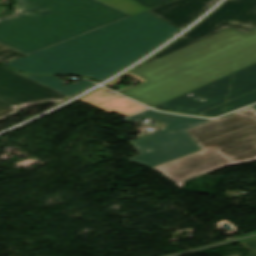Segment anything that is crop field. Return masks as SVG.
<instances>
[{
  "label": "crop field",
  "instance_id": "crop-field-1",
  "mask_svg": "<svg viewBox=\"0 0 256 256\" xmlns=\"http://www.w3.org/2000/svg\"><path fill=\"white\" fill-rule=\"evenodd\" d=\"M177 31L145 11L5 65L31 74L91 76L101 81Z\"/></svg>",
  "mask_w": 256,
  "mask_h": 256
},
{
  "label": "crop field",
  "instance_id": "crop-field-7",
  "mask_svg": "<svg viewBox=\"0 0 256 256\" xmlns=\"http://www.w3.org/2000/svg\"><path fill=\"white\" fill-rule=\"evenodd\" d=\"M68 96L0 66V119L32 105L59 103Z\"/></svg>",
  "mask_w": 256,
  "mask_h": 256
},
{
  "label": "crop field",
  "instance_id": "crop-field-15",
  "mask_svg": "<svg viewBox=\"0 0 256 256\" xmlns=\"http://www.w3.org/2000/svg\"><path fill=\"white\" fill-rule=\"evenodd\" d=\"M22 56L24 55L0 45V63H7Z\"/></svg>",
  "mask_w": 256,
  "mask_h": 256
},
{
  "label": "crop field",
  "instance_id": "crop-field-2",
  "mask_svg": "<svg viewBox=\"0 0 256 256\" xmlns=\"http://www.w3.org/2000/svg\"><path fill=\"white\" fill-rule=\"evenodd\" d=\"M253 63L256 29L245 35L228 28L126 74L142 83L121 92L155 107Z\"/></svg>",
  "mask_w": 256,
  "mask_h": 256
},
{
  "label": "crop field",
  "instance_id": "crop-field-21",
  "mask_svg": "<svg viewBox=\"0 0 256 256\" xmlns=\"http://www.w3.org/2000/svg\"><path fill=\"white\" fill-rule=\"evenodd\" d=\"M256 109V106H253Z\"/></svg>",
  "mask_w": 256,
  "mask_h": 256
},
{
  "label": "crop field",
  "instance_id": "crop-field-13",
  "mask_svg": "<svg viewBox=\"0 0 256 256\" xmlns=\"http://www.w3.org/2000/svg\"><path fill=\"white\" fill-rule=\"evenodd\" d=\"M255 102H256V91L248 95L242 96L240 98H237L235 100H232L230 102L219 105L210 110H207L201 114L207 115V116H218L227 112L234 111L236 109H239L241 107L247 106Z\"/></svg>",
  "mask_w": 256,
  "mask_h": 256
},
{
  "label": "crop field",
  "instance_id": "crop-field-3",
  "mask_svg": "<svg viewBox=\"0 0 256 256\" xmlns=\"http://www.w3.org/2000/svg\"><path fill=\"white\" fill-rule=\"evenodd\" d=\"M0 23V44L31 54L131 15L97 0H20Z\"/></svg>",
  "mask_w": 256,
  "mask_h": 256
},
{
  "label": "crop field",
  "instance_id": "crop-field-8",
  "mask_svg": "<svg viewBox=\"0 0 256 256\" xmlns=\"http://www.w3.org/2000/svg\"><path fill=\"white\" fill-rule=\"evenodd\" d=\"M146 136L147 138L144 136L131 142L140 153L139 156L130 159L131 161L152 167L199 151L184 131L178 134L159 131ZM145 148L153 151L147 153L143 150Z\"/></svg>",
  "mask_w": 256,
  "mask_h": 256
},
{
  "label": "crop field",
  "instance_id": "crop-field-6",
  "mask_svg": "<svg viewBox=\"0 0 256 256\" xmlns=\"http://www.w3.org/2000/svg\"><path fill=\"white\" fill-rule=\"evenodd\" d=\"M245 34L256 28V0H228L195 28L142 65L170 54L226 28Z\"/></svg>",
  "mask_w": 256,
  "mask_h": 256
},
{
  "label": "crop field",
  "instance_id": "crop-field-19",
  "mask_svg": "<svg viewBox=\"0 0 256 256\" xmlns=\"http://www.w3.org/2000/svg\"><path fill=\"white\" fill-rule=\"evenodd\" d=\"M196 126V125H195ZM193 127V126H192ZM189 128H191V127H189ZM186 129H188V128H186ZM164 130V129H163ZM184 130V129H183ZM182 131V130H181ZM180 132V131H179ZM177 133V132H176Z\"/></svg>",
  "mask_w": 256,
  "mask_h": 256
},
{
  "label": "crop field",
  "instance_id": "crop-field-14",
  "mask_svg": "<svg viewBox=\"0 0 256 256\" xmlns=\"http://www.w3.org/2000/svg\"><path fill=\"white\" fill-rule=\"evenodd\" d=\"M99 1L104 2L117 9H120L124 12H127L131 15H134L146 10L145 8L141 7L140 5L136 4L131 0H99Z\"/></svg>",
  "mask_w": 256,
  "mask_h": 256
},
{
  "label": "crop field",
  "instance_id": "crop-field-22",
  "mask_svg": "<svg viewBox=\"0 0 256 256\" xmlns=\"http://www.w3.org/2000/svg\"><path fill=\"white\" fill-rule=\"evenodd\" d=\"M235 256H238V255H235Z\"/></svg>",
  "mask_w": 256,
  "mask_h": 256
},
{
  "label": "crop field",
  "instance_id": "crop-field-11",
  "mask_svg": "<svg viewBox=\"0 0 256 256\" xmlns=\"http://www.w3.org/2000/svg\"><path fill=\"white\" fill-rule=\"evenodd\" d=\"M150 118L165 123L167 126L164 129L170 132H176L183 128L204 122L209 119L191 118L178 115L163 114L157 111H145L134 117L127 119L128 121L138 122L143 119Z\"/></svg>",
  "mask_w": 256,
  "mask_h": 256
},
{
  "label": "crop field",
  "instance_id": "crop-field-9",
  "mask_svg": "<svg viewBox=\"0 0 256 256\" xmlns=\"http://www.w3.org/2000/svg\"><path fill=\"white\" fill-rule=\"evenodd\" d=\"M215 1L217 0H174L147 11L181 29L211 7Z\"/></svg>",
  "mask_w": 256,
  "mask_h": 256
},
{
  "label": "crop field",
  "instance_id": "crop-field-5",
  "mask_svg": "<svg viewBox=\"0 0 256 256\" xmlns=\"http://www.w3.org/2000/svg\"><path fill=\"white\" fill-rule=\"evenodd\" d=\"M255 90L256 64H253L156 108L198 114Z\"/></svg>",
  "mask_w": 256,
  "mask_h": 256
},
{
  "label": "crop field",
  "instance_id": "crop-field-12",
  "mask_svg": "<svg viewBox=\"0 0 256 256\" xmlns=\"http://www.w3.org/2000/svg\"><path fill=\"white\" fill-rule=\"evenodd\" d=\"M32 80L38 81L42 84H45L59 92H62L68 96H72L80 91H82L84 88L94 85L93 83L82 79L78 81L76 84H69L67 86L62 85V81L55 78V77H39V76H30V75H24Z\"/></svg>",
  "mask_w": 256,
  "mask_h": 256
},
{
  "label": "crop field",
  "instance_id": "crop-field-20",
  "mask_svg": "<svg viewBox=\"0 0 256 256\" xmlns=\"http://www.w3.org/2000/svg\"><path fill=\"white\" fill-rule=\"evenodd\" d=\"M206 150V149H205ZM224 157V156H223ZM225 158V157H224ZM225 159H227V158H225ZM228 160V159H227ZM229 161V160H228ZM230 162V161H229Z\"/></svg>",
  "mask_w": 256,
  "mask_h": 256
},
{
  "label": "crop field",
  "instance_id": "crop-field-10",
  "mask_svg": "<svg viewBox=\"0 0 256 256\" xmlns=\"http://www.w3.org/2000/svg\"><path fill=\"white\" fill-rule=\"evenodd\" d=\"M106 90L108 89L101 87L80 101L89 103L107 113L114 111L124 117L133 115L146 108L129 99H122L118 94L112 96L106 93Z\"/></svg>",
  "mask_w": 256,
  "mask_h": 256
},
{
  "label": "crop field",
  "instance_id": "crop-field-18",
  "mask_svg": "<svg viewBox=\"0 0 256 256\" xmlns=\"http://www.w3.org/2000/svg\"><path fill=\"white\" fill-rule=\"evenodd\" d=\"M15 13H16V15H14V16L21 15V14L18 13V12H15ZM14 16H10V17H14ZM7 18H9V17H7ZM7 18L0 19V22L3 21V20H5V19H7Z\"/></svg>",
  "mask_w": 256,
  "mask_h": 256
},
{
  "label": "crop field",
  "instance_id": "crop-field-4",
  "mask_svg": "<svg viewBox=\"0 0 256 256\" xmlns=\"http://www.w3.org/2000/svg\"><path fill=\"white\" fill-rule=\"evenodd\" d=\"M185 131L202 149L213 147L233 164L256 160V110L251 107ZM217 151H199L154 169L177 183L229 164Z\"/></svg>",
  "mask_w": 256,
  "mask_h": 256
},
{
  "label": "crop field",
  "instance_id": "crop-field-16",
  "mask_svg": "<svg viewBox=\"0 0 256 256\" xmlns=\"http://www.w3.org/2000/svg\"><path fill=\"white\" fill-rule=\"evenodd\" d=\"M133 1H135L136 3L140 4L141 6L147 9H150L158 5L170 2L172 0H133Z\"/></svg>",
  "mask_w": 256,
  "mask_h": 256
},
{
  "label": "crop field",
  "instance_id": "crop-field-17",
  "mask_svg": "<svg viewBox=\"0 0 256 256\" xmlns=\"http://www.w3.org/2000/svg\"><path fill=\"white\" fill-rule=\"evenodd\" d=\"M249 249V254L246 256H256V239L242 243Z\"/></svg>",
  "mask_w": 256,
  "mask_h": 256
}]
</instances>
